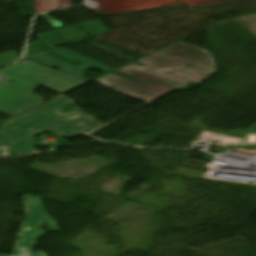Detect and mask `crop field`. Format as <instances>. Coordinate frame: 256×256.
Segmentation results:
<instances>
[{
    "mask_svg": "<svg viewBox=\"0 0 256 256\" xmlns=\"http://www.w3.org/2000/svg\"><path fill=\"white\" fill-rule=\"evenodd\" d=\"M206 53H208L210 55H206ZM201 59L210 61L212 63L203 61ZM137 62L147 64V65H149V67L145 66L146 68H144L141 66L130 64L128 66L140 69L142 71L127 68V67H124L122 69L129 70V71H131L130 73L123 71L121 69H118L116 71H119L124 74L135 77L133 80L144 82V83L153 85L155 87L164 89L166 91L160 90L157 88H153L150 86H146V85L137 83L135 81L120 77V76L112 74V73H110L94 82H97V83L102 84L103 86L115 89V90H117L118 93L151 103L178 87H181L183 89L190 87V86L185 85L186 83H188L190 81L200 84L201 82H203L205 79H207L209 76H211L213 73L216 72V70H215V72H212L211 68L200 64V63H203V64L210 65L213 68H215L213 57H212L211 53H209L203 49L192 47L190 45H187V44H184L181 42H178L170 47H167V48H165L159 52H156L148 57H145ZM152 62L175 69V70H178V71H181V72H184V73H187V74H190V75H193L195 77L172 70V69H169V68H166V67H163V66H160V65H157V64H154ZM186 63L192 64L194 66L192 68L187 67V66H185ZM199 68L209 70L211 72L201 70ZM168 71H170L172 73L176 72L175 74L180 75L182 77L167 73ZM200 73L205 74L207 76L204 77ZM110 77L137 85L139 87L112 79ZM102 79H105V80H108V81H111L114 83H118V84L130 87V88L142 91V92H146V93L155 95L157 97H154V96H151V95H148L145 93H141V92L117 85V84H113V83L104 81ZM119 89H122V90H125L128 92H132V93L138 94L140 96L131 94V93H128L125 91H121ZM149 90L156 91L159 93L156 94Z\"/></svg>",
    "mask_w": 256,
    "mask_h": 256,
    "instance_id": "crop-field-1",
    "label": "crop field"
},
{
    "mask_svg": "<svg viewBox=\"0 0 256 256\" xmlns=\"http://www.w3.org/2000/svg\"><path fill=\"white\" fill-rule=\"evenodd\" d=\"M69 100L70 99L66 97L60 99L56 98L29 110L30 112L42 117L43 119L31 113L25 112L3 123L0 129V141L20 133L28 128H31L37 124L40 126L23 132L4 142H1L0 148L4 149L8 147L17 155L29 154L36 151V149H34V141L36 139L32 137L45 130H48L46 127L41 125L42 123L55 132L68 126L82 134H85L103 125L90 118L89 115L78 108L61 115L60 112L63 111L61 109L71 105V103L68 102ZM57 134L64 137L65 139L72 138L73 136H81L79 133H76L69 128L62 130Z\"/></svg>",
    "mask_w": 256,
    "mask_h": 256,
    "instance_id": "crop-field-2",
    "label": "crop field"
},
{
    "mask_svg": "<svg viewBox=\"0 0 256 256\" xmlns=\"http://www.w3.org/2000/svg\"><path fill=\"white\" fill-rule=\"evenodd\" d=\"M0 77L11 81L0 88V112L9 116L44 102L45 98L32 94L38 85L63 94L85 83L28 59L0 69Z\"/></svg>",
    "mask_w": 256,
    "mask_h": 256,
    "instance_id": "crop-field-3",
    "label": "crop field"
},
{
    "mask_svg": "<svg viewBox=\"0 0 256 256\" xmlns=\"http://www.w3.org/2000/svg\"><path fill=\"white\" fill-rule=\"evenodd\" d=\"M26 207L25 221L19 230L12 256H19L22 247H29L25 256H47L40 251L32 253L33 246L37 245V239L48 231H59L54 220L47 216L40 197L24 196ZM41 224H48V231H42ZM7 256V255H0Z\"/></svg>",
    "mask_w": 256,
    "mask_h": 256,
    "instance_id": "crop-field-4",
    "label": "crop field"
},
{
    "mask_svg": "<svg viewBox=\"0 0 256 256\" xmlns=\"http://www.w3.org/2000/svg\"><path fill=\"white\" fill-rule=\"evenodd\" d=\"M51 53L61 56V57H64V58H67L71 61H78V62L84 63L86 65L80 66V67H75L73 65H70L68 63H65L59 59H56V58L48 55ZM29 59H31L35 62L41 63L43 65H46L48 67H56V68L60 69L59 72L73 76V77L83 80L85 82L91 81L90 79H88L82 75L83 71L86 68H88L89 66L96 68L104 73H109V72L115 70L113 68H110L101 63H98L96 61H93L91 59L83 57L81 55H78V54L71 52L69 50H66L64 48H59V49H56V50H53V51H50V52H47L44 54L36 55Z\"/></svg>",
    "mask_w": 256,
    "mask_h": 256,
    "instance_id": "crop-field-5",
    "label": "crop field"
},
{
    "mask_svg": "<svg viewBox=\"0 0 256 256\" xmlns=\"http://www.w3.org/2000/svg\"><path fill=\"white\" fill-rule=\"evenodd\" d=\"M72 6V0H61V8ZM35 13L59 8V0H34Z\"/></svg>",
    "mask_w": 256,
    "mask_h": 256,
    "instance_id": "crop-field-6",
    "label": "crop field"
},
{
    "mask_svg": "<svg viewBox=\"0 0 256 256\" xmlns=\"http://www.w3.org/2000/svg\"><path fill=\"white\" fill-rule=\"evenodd\" d=\"M248 135H256V125L243 132L240 142H247Z\"/></svg>",
    "mask_w": 256,
    "mask_h": 256,
    "instance_id": "crop-field-7",
    "label": "crop field"
}]
</instances>
